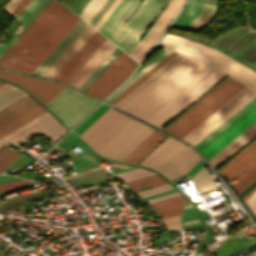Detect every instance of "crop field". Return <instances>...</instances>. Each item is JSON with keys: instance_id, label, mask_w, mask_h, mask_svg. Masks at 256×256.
<instances>
[{"instance_id": "obj_1", "label": "crop field", "mask_w": 256, "mask_h": 256, "mask_svg": "<svg viewBox=\"0 0 256 256\" xmlns=\"http://www.w3.org/2000/svg\"><path fill=\"white\" fill-rule=\"evenodd\" d=\"M211 67L185 56L122 110L146 121Z\"/></svg>"}, {"instance_id": "obj_2", "label": "crop field", "mask_w": 256, "mask_h": 256, "mask_svg": "<svg viewBox=\"0 0 256 256\" xmlns=\"http://www.w3.org/2000/svg\"><path fill=\"white\" fill-rule=\"evenodd\" d=\"M140 1L121 0L98 30L128 54L138 43L148 24L169 2L143 0L136 13L124 24Z\"/></svg>"}, {"instance_id": "obj_3", "label": "crop field", "mask_w": 256, "mask_h": 256, "mask_svg": "<svg viewBox=\"0 0 256 256\" xmlns=\"http://www.w3.org/2000/svg\"><path fill=\"white\" fill-rule=\"evenodd\" d=\"M245 87L228 77L164 130L182 139Z\"/></svg>"}, {"instance_id": "obj_4", "label": "crop field", "mask_w": 256, "mask_h": 256, "mask_svg": "<svg viewBox=\"0 0 256 256\" xmlns=\"http://www.w3.org/2000/svg\"><path fill=\"white\" fill-rule=\"evenodd\" d=\"M163 47L203 60L256 90V73L210 47L171 34L160 41Z\"/></svg>"}, {"instance_id": "obj_5", "label": "crop field", "mask_w": 256, "mask_h": 256, "mask_svg": "<svg viewBox=\"0 0 256 256\" xmlns=\"http://www.w3.org/2000/svg\"><path fill=\"white\" fill-rule=\"evenodd\" d=\"M80 19L66 8L12 69L31 74Z\"/></svg>"}, {"instance_id": "obj_6", "label": "crop field", "mask_w": 256, "mask_h": 256, "mask_svg": "<svg viewBox=\"0 0 256 256\" xmlns=\"http://www.w3.org/2000/svg\"><path fill=\"white\" fill-rule=\"evenodd\" d=\"M226 76L212 67L147 122L162 128Z\"/></svg>"}, {"instance_id": "obj_7", "label": "crop field", "mask_w": 256, "mask_h": 256, "mask_svg": "<svg viewBox=\"0 0 256 256\" xmlns=\"http://www.w3.org/2000/svg\"><path fill=\"white\" fill-rule=\"evenodd\" d=\"M66 7L54 0L43 9L22 35L0 57V66L12 68Z\"/></svg>"}, {"instance_id": "obj_8", "label": "crop field", "mask_w": 256, "mask_h": 256, "mask_svg": "<svg viewBox=\"0 0 256 256\" xmlns=\"http://www.w3.org/2000/svg\"><path fill=\"white\" fill-rule=\"evenodd\" d=\"M98 104L94 100L66 87L46 106L72 127Z\"/></svg>"}, {"instance_id": "obj_9", "label": "crop field", "mask_w": 256, "mask_h": 256, "mask_svg": "<svg viewBox=\"0 0 256 256\" xmlns=\"http://www.w3.org/2000/svg\"><path fill=\"white\" fill-rule=\"evenodd\" d=\"M131 121L109 108L79 137L97 152Z\"/></svg>"}, {"instance_id": "obj_10", "label": "crop field", "mask_w": 256, "mask_h": 256, "mask_svg": "<svg viewBox=\"0 0 256 256\" xmlns=\"http://www.w3.org/2000/svg\"><path fill=\"white\" fill-rule=\"evenodd\" d=\"M136 65L137 62L122 51L85 93L103 100L126 79Z\"/></svg>"}, {"instance_id": "obj_11", "label": "crop field", "mask_w": 256, "mask_h": 256, "mask_svg": "<svg viewBox=\"0 0 256 256\" xmlns=\"http://www.w3.org/2000/svg\"><path fill=\"white\" fill-rule=\"evenodd\" d=\"M255 94V91L246 87L223 107L216 111L212 116L205 120L201 125L189 133L185 138H183V140L194 145L217 125L224 121L228 116L235 112L239 107L251 99Z\"/></svg>"}, {"instance_id": "obj_12", "label": "crop field", "mask_w": 256, "mask_h": 256, "mask_svg": "<svg viewBox=\"0 0 256 256\" xmlns=\"http://www.w3.org/2000/svg\"><path fill=\"white\" fill-rule=\"evenodd\" d=\"M183 3L184 0H170L168 6L151 26L148 33L136 45V47L131 51L129 55L132 56L138 62H140V60L148 51V49L153 45V43L157 40V38L160 36V34L163 32L166 26L170 23V21L180 10Z\"/></svg>"}, {"instance_id": "obj_13", "label": "crop field", "mask_w": 256, "mask_h": 256, "mask_svg": "<svg viewBox=\"0 0 256 256\" xmlns=\"http://www.w3.org/2000/svg\"><path fill=\"white\" fill-rule=\"evenodd\" d=\"M255 121L256 105L249 109L245 114L233 122L229 127H227L199 151L208 160Z\"/></svg>"}, {"instance_id": "obj_14", "label": "crop field", "mask_w": 256, "mask_h": 256, "mask_svg": "<svg viewBox=\"0 0 256 256\" xmlns=\"http://www.w3.org/2000/svg\"><path fill=\"white\" fill-rule=\"evenodd\" d=\"M0 77L15 82L37 96L45 105L65 87L56 83L28 76L0 71ZM61 93V92H60Z\"/></svg>"}, {"instance_id": "obj_15", "label": "crop field", "mask_w": 256, "mask_h": 256, "mask_svg": "<svg viewBox=\"0 0 256 256\" xmlns=\"http://www.w3.org/2000/svg\"><path fill=\"white\" fill-rule=\"evenodd\" d=\"M214 6L215 3L212 2L189 0L185 10L176 19L173 26L191 29L206 12L213 14ZM208 13H206L200 20L207 22L212 17V14ZM203 24L205 23L198 21L192 29L197 30Z\"/></svg>"}, {"instance_id": "obj_16", "label": "crop field", "mask_w": 256, "mask_h": 256, "mask_svg": "<svg viewBox=\"0 0 256 256\" xmlns=\"http://www.w3.org/2000/svg\"><path fill=\"white\" fill-rule=\"evenodd\" d=\"M199 160L200 157L197 155V153L184 145L161 167H159L157 171L161 172L169 179H173L185 174Z\"/></svg>"}, {"instance_id": "obj_17", "label": "crop field", "mask_w": 256, "mask_h": 256, "mask_svg": "<svg viewBox=\"0 0 256 256\" xmlns=\"http://www.w3.org/2000/svg\"><path fill=\"white\" fill-rule=\"evenodd\" d=\"M254 166H256V140L217 170V172L224 174L230 181L234 177L241 178Z\"/></svg>"}, {"instance_id": "obj_18", "label": "crop field", "mask_w": 256, "mask_h": 256, "mask_svg": "<svg viewBox=\"0 0 256 256\" xmlns=\"http://www.w3.org/2000/svg\"><path fill=\"white\" fill-rule=\"evenodd\" d=\"M146 128L147 126L133 120L97 153L114 159Z\"/></svg>"}, {"instance_id": "obj_19", "label": "crop field", "mask_w": 256, "mask_h": 256, "mask_svg": "<svg viewBox=\"0 0 256 256\" xmlns=\"http://www.w3.org/2000/svg\"><path fill=\"white\" fill-rule=\"evenodd\" d=\"M95 31L87 24L41 76L53 79Z\"/></svg>"}, {"instance_id": "obj_20", "label": "crop field", "mask_w": 256, "mask_h": 256, "mask_svg": "<svg viewBox=\"0 0 256 256\" xmlns=\"http://www.w3.org/2000/svg\"><path fill=\"white\" fill-rule=\"evenodd\" d=\"M115 47L116 46L107 39L67 84L79 89Z\"/></svg>"}, {"instance_id": "obj_21", "label": "crop field", "mask_w": 256, "mask_h": 256, "mask_svg": "<svg viewBox=\"0 0 256 256\" xmlns=\"http://www.w3.org/2000/svg\"><path fill=\"white\" fill-rule=\"evenodd\" d=\"M256 137V122L252 124L248 129L236 137L232 142L220 150L208 161L213 166L214 170L218 168L222 163L229 159L233 154L240 150L244 145Z\"/></svg>"}, {"instance_id": "obj_22", "label": "crop field", "mask_w": 256, "mask_h": 256, "mask_svg": "<svg viewBox=\"0 0 256 256\" xmlns=\"http://www.w3.org/2000/svg\"><path fill=\"white\" fill-rule=\"evenodd\" d=\"M184 144L168 137L139 164L157 169Z\"/></svg>"}, {"instance_id": "obj_23", "label": "crop field", "mask_w": 256, "mask_h": 256, "mask_svg": "<svg viewBox=\"0 0 256 256\" xmlns=\"http://www.w3.org/2000/svg\"><path fill=\"white\" fill-rule=\"evenodd\" d=\"M165 137H166V135H164V134L155 130L151 135H149L139 146H137L122 161L137 164L143 157H145Z\"/></svg>"}, {"instance_id": "obj_24", "label": "crop field", "mask_w": 256, "mask_h": 256, "mask_svg": "<svg viewBox=\"0 0 256 256\" xmlns=\"http://www.w3.org/2000/svg\"><path fill=\"white\" fill-rule=\"evenodd\" d=\"M86 24L87 23L81 19L77 23V25L67 34V36L57 45V47L46 57V59L36 68V70L32 74L40 76Z\"/></svg>"}, {"instance_id": "obj_25", "label": "crop field", "mask_w": 256, "mask_h": 256, "mask_svg": "<svg viewBox=\"0 0 256 256\" xmlns=\"http://www.w3.org/2000/svg\"><path fill=\"white\" fill-rule=\"evenodd\" d=\"M31 97V96H30ZM29 96L0 112V127L39 105Z\"/></svg>"}, {"instance_id": "obj_26", "label": "crop field", "mask_w": 256, "mask_h": 256, "mask_svg": "<svg viewBox=\"0 0 256 256\" xmlns=\"http://www.w3.org/2000/svg\"><path fill=\"white\" fill-rule=\"evenodd\" d=\"M188 202L183 196L152 204L161 218L181 215L183 203Z\"/></svg>"}, {"instance_id": "obj_27", "label": "crop field", "mask_w": 256, "mask_h": 256, "mask_svg": "<svg viewBox=\"0 0 256 256\" xmlns=\"http://www.w3.org/2000/svg\"><path fill=\"white\" fill-rule=\"evenodd\" d=\"M106 39L107 38L100 34L97 39L88 47V49L80 56V58L72 65V67L63 75L60 81L67 83Z\"/></svg>"}, {"instance_id": "obj_28", "label": "crop field", "mask_w": 256, "mask_h": 256, "mask_svg": "<svg viewBox=\"0 0 256 256\" xmlns=\"http://www.w3.org/2000/svg\"><path fill=\"white\" fill-rule=\"evenodd\" d=\"M255 103H256V96L252 100H250L247 104H245L242 108H240L237 112H235L232 116H230L227 120H225L222 124H220L217 128H215L212 132H210L207 136H205L202 140H200L197 144H195L194 147L197 148L198 150L202 148L206 143H208L211 139H213L217 134H219L222 130H224L228 125H230L233 121H235L239 116H241L244 112H246Z\"/></svg>"}, {"instance_id": "obj_29", "label": "crop field", "mask_w": 256, "mask_h": 256, "mask_svg": "<svg viewBox=\"0 0 256 256\" xmlns=\"http://www.w3.org/2000/svg\"><path fill=\"white\" fill-rule=\"evenodd\" d=\"M184 55L178 54L171 61H169L165 66H163L159 71H157L153 76H151L147 81L140 85L136 90H134L130 95H128L124 100H122L116 107L122 108L128 102H130L134 97H136L140 92H142L146 87H148L152 82H154L158 77H160L164 72H166L170 67H172L176 62H178Z\"/></svg>"}, {"instance_id": "obj_30", "label": "crop field", "mask_w": 256, "mask_h": 256, "mask_svg": "<svg viewBox=\"0 0 256 256\" xmlns=\"http://www.w3.org/2000/svg\"><path fill=\"white\" fill-rule=\"evenodd\" d=\"M28 96L22 90L13 87L11 85H5L0 88V111L6 109L17 101L23 99Z\"/></svg>"}, {"instance_id": "obj_31", "label": "crop field", "mask_w": 256, "mask_h": 256, "mask_svg": "<svg viewBox=\"0 0 256 256\" xmlns=\"http://www.w3.org/2000/svg\"><path fill=\"white\" fill-rule=\"evenodd\" d=\"M43 112H45V110L40 105L35 107L34 109L30 110L29 112L0 128V137L11 132L12 130L16 129L17 127L28 122L29 120L33 119L34 117L40 115Z\"/></svg>"}, {"instance_id": "obj_32", "label": "crop field", "mask_w": 256, "mask_h": 256, "mask_svg": "<svg viewBox=\"0 0 256 256\" xmlns=\"http://www.w3.org/2000/svg\"><path fill=\"white\" fill-rule=\"evenodd\" d=\"M171 51L165 50L162 52L158 57H156L152 62H150L146 67H144L140 72H138L136 75L132 76L128 82L120 89L118 90L112 97H110L108 100H106L108 103L111 102L113 99H115L117 96H119L122 92H124L128 87H130L134 82H136L143 74H145L148 70H150L153 66H155L159 61H161L164 57H166Z\"/></svg>"}, {"instance_id": "obj_33", "label": "crop field", "mask_w": 256, "mask_h": 256, "mask_svg": "<svg viewBox=\"0 0 256 256\" xmlns=\"http://www.w3.org/2000/svg\"><path fill=\"white\" fill-rule=\"evenodd\" d=\"M56 121L51 115L44 118L43 120L35 123L34 125L28 127L27 129L21 131L20 133L12 136L11 138L7 139L6 141L11 142L13 144L21 141L22 139L28 137L29 135L35 133L36 131L42 129L43 127L49 125L50 123Z\"/></svg>"}, {"instance_id": "obj_34", "label": "crop field", "mask_w": 256, "mask_h": 256, "mask_svg": "<svg viewBox=\"0 0 256 256\" xmlns=\"http://www.w3.org/2000/svg\"><path fill=\"white\" fill-rule=\"evenodd\" d=\"M177 53L172 52L164 60H162L158 65H156L152 70H150L146 75L139 79L135 84H133L129 89H127L123 94H121L117 99H115L111 104L114 106L124 99L128 94H130L134 89H136L140 84H142L146 79L153 75L157 70H159L163 65H165L169 60H171Z\"/></svg>"}, {"instance_id": "obj_35", "label": "crop field", "mask_w": 256, "mask_h": 256, "mask_svg": "<svg viewBox=\"0 0 256 256\" xmlns=\"http://www.w3.org/2000/svg\"><path fill=\"white\" fill-rule=\"evenodd\" d=\"M167 183H168L167 181L155 175V176H151L148 178H144V179L133 181L126 184L129 185L133 190L138 192V191H142L145 189H149V188L160 186Z\"/></svg>"}, {"instance_id": "obj_36", "label": "crop field", "mask_w": 256, "mask_h": 256, "mask_svg": "<svg viewBox=\"0 0 256 256\" xmlns=\"http://www.w3.org/2000/svg\"><path fill=\"white\" fill-rule=\"evenodd\" d=\"M121 51L122 50L116 47L113 52L106 58V60L98 67V69L90 76V78L83 84V86L81 85L82 87L80 90L85 92Z\"/></svg>"}, {"instance_id": "obj_37", "label": "crop field", "mask_w": 256, "mask_h": 256, "mask_svg": "<svg viewBox=\"0 0 256 256\" xmlns=\"http://www.w3.org/2000/svg\"><path fill=\"white\" fill-rule=\"evenodd\" d=\"M17 151L3 145L0 146V173L21 155L20 151Z\"/></svg>"}, {"instance_id": "obj_38", "label": "crop field", "mask_w": 256, "mask_h": 256, "mask_svg": "<svg viewBox=\"0 0 256 256\" xmlns=\"http://www.w3.org/2000/svg\"><path fill=\"white\" fill-rule=\"evenodd\" d=\"M109 175H112V174L109 173L107 170L100 168V169H96V170H92V171H89L86 173L79 174V175L71 177V178L64 179V181L67 182V181L73 180V182L78 181L79 183H84V182H88V181L95 180V179L109 176Z\"/></svg>"}, {"instance_id": "obj_39", "label": "crop field", "mask_w": 256, "mask_h": 256, "mask_svg": "<svg viewBox=\"0 0 256 256\" xmlns=\"http://www.w3.org/2000/svg\"><path fill=\"white\" fill-rule=\"evenodd\" d=\"M66 130L56 121L49 126L43 128L42 130L36 132L35 134L29 136L28 138L22 140L21 142L17 143V145L25 142L26 140L30 139L31 137L41 133L53 140H56L58 137H60L63 133H65Z\"/></svg>"}, {"instance_id": "obj_40", "label": "crop field", "mask_w": 256, "mask_h": 256, "mask_svg": "<svg viewBox=\"0 0 256 256\" xmlns=\"http://www.w3.org/2000/svg\"><path fill=\"white\" fill-rule=\"evenodd\" d=\"M115 175L119 177L124 183H126V182H130L133 180H137V179L148 177L155 174L151 171L137 168L130 171L115 174Z\"/></svg>"}, {"instance_id": "obj_41", "label": "crop field", "mask_w": 256, "mask_h": 256, "mask_svg": "<svg viewBox=\"0 0 256 256\" xmlns=\"http://www.w3.org/2000/svg\"><path fill=\"white\" fill-rule=\"evenodd\" d=\"M105 1L106 0H90L79 16L89 23Z\"/></svg>"}, {"instance_id": "obj_42", "label": "crop field", "mask_w": 256, "mask_h": 256, "mask_svg": "<svg viewBox=\"0 0 256 256\" xmlns=\"http://www.w3.org/2000/svg\"><path fill=\"white\" fill-rule=\"evenodd\" d=\"M97 31L93 34V36L84 44V46L75 54V56L66 64V66L57 74L54 78L55 80H59L62 75L71 67V65L79 58V56L87 49V47L96 39L99 35Z\"/></svg>"}, {"instance_id": "obj_43", "label": "crop field", "mask_w": 256, "mask_h": 256, "mask_svg": "<svg viewBox=\"0 0 256 256\" xmlns=\"http://www.w3.org/2000/svg\"><path fill=\"white\" fill-rule=\"evenodd\" d=\"M154 130L147 128L140 136H138L123 152H121L115 160L121 161L125 156H127L137 145H139L149 134Z\"/></svg>"}, {"instance_id": "obj_44", "label": "crop field", "mask_w": 256, "mask_h": 256, "mask_svg": "<svg viewBox=\"0 0 256 256\" xmlns=\"http://www.w3.org/2000/svg\"><path fill=\"white\" fill-rule=\"evenodd\" d=\"M107 109H108V107H106L104 105H102L99 109H97L91 116H89L82 124H80L77 127V129L75 131L77 133V135L79 136L85 129H87Z\"/></svg>"}, {"instance_id": "obj_45", "label": "crop field", "mask_w": 256, "mask_h": 256, "mask_svg": "<svg viewBox=\"0 0 256 256\" xmlns=\"http://www.w3.org/2000/svg\"><path fill=\"white\" fill-rule=\"evenodd\" d=\"M255 180H256V167L252 171H250L247 175H245L242 179H240L233 186L239 194L245 188H247L251 183H253Z\"/></svg>"}, {"instance_id": "obj_46", "label": "crop field", "mask_w": 256, "mask_h": 256, "mask_svg": "<svg viewBox=\"0 0 256 256\" xmlns=\"http://www.w3.org/2000/svg\"><path fill=\"white\" fill-rule=\"evenodd\" d=\"M194 184L198 188L199 192H201V194L218 188L213 184L212 176H206L205 178L196 181Z\"/></svg>"}, {"instance_id": "obj_47", "label": "crop field", "mask_w": 256, "mask_h": 256, "mask_svg": "<svg viewBox=\"0 0 256 256\" xmlns=\"http://www.w3.org/2000/svg\"><path fill=\"white\" fill-rule=\"evenodd\" d=\"M171 189H174V188L171 185L167 184V185H163V186L156 187V188H153V189H149V190H145V191H142V192H138V194L142 198H144V197L151 196V195H154V194H157V193H161V192H164V191H167V190H171Z\"/></svg>"}, {"instance_id": "obj_48", "label": "crop field", "mask_w": 256, "mask_h": 256, "mask_svg": "<svg viewBox=\"0 0 256 256\" xmlns=\"http://www.w3.org/2000/svg\"><path fill=\"white\" fill-rule=\"evenodd\" d=\"M48 115H50V114H48L47 112L44 113V114H42V115H40L39 117L33 119L32 121L26 123L25 125L21 126L20 128H18V129H16V130H14L13 132L7 134L6 136L2 137L1 139L5 140V139L11 137L12 135H14V134L20 132L21 130L27 128L28 126L34 124L35 122H37V121L43 119L44 117H46V116H48Z\"/></svg>"}, {"instance_id": "obj_49", "label": "crop field", "mask_w": 256, "mask_h": 256, "mask_svg": "<svg viewBox=\"0 0 256 256\" xmlns=\"http://www.w3.org/2000/svg\"><path fill=\"white\" fill-rule=\"evenodd\" d=\"M30 183H34V182L24 180V179H20V180L8 182V183L0 184V192L3 191V190H6V189H10V188H13V187L26 185V184H30Z\"/></svg>"}, {"instance_id": "obj_50", "label": "crop field", "mask_w": 256, "mask_h": 256, "mask_svg": "<svg viewBox=\"0 0 256 256\" xmlns=\"http://www.w3.org/2000/svg\"><path fill=\"white\" fill-rule=\"evenodd\" d=\"M41 0H31L28 5L20 12L17 18L24 20L26 16L34 9V7L40 2Z\"/></svg>"}, {"instance_id": "obj_51", "label": "crop field", "mask_w": 256, "mask_h": 256, "mask_svg": "<svg viewBox=\"0 0 256 256\" xmlns=\"http://www.w3.org/2000/svg\"><path fill=\"white\" fill-rule=\"evenodd\" d=\"M113 1L114 0H107L89 24L94 27L95 24L98 22V20L101 18V16L104 14V12L108 9V7L111 5Z\"/></svg>"}, {"instance_id": "obj_52", "label": "crop field", "mask_w": 256, "mask_h": 256, "mask_svg": "<svg viewBox=\"0 0 256 256\" xmlns=\"http://www.w3.org/2000/svg\"><path fill=\"white\" fill-rule=\"evenodd\" d=\"M244 201L248 205V207L251 209V211L254 213V215L256 216V191L253 194H251Z\"/></svg>"}, {"instance_id": "obj_53", "label": "crop field", "mask_w": 256, "mask_h": 256, "mask_svg": "<svg viewBox=\"0 0 256 256\" xmlns=\"http://www.w3.org/2000/svg\"><path fill=\"white\" fill-rule=\"evenodd\" d=\"M120 0H115L112 5L109 7V9L105 12V14L102 16V18L99 20V22L96 24V26L94 28H96L97 30L99 29V27L102 25V23L105 21V19L108 17V15L111 13V11L114 9V7L117 5V3Z\"/></svg>"}, {"instance_id": "obj_54", "label": "crop field", "mask_w": 256, "mask_h": 256, "mask_svg": "<svg viewBox=\"0 0 256 256\" xmlns=\"http://www.w3.org/2000/svg\"><path fill=\"white\" fill-rule=\"evenodd\" d=\"M177 196H181V194L179 192H177V193L169 194V195H166V196L158 197V198L147 200V201L150 204H152V203H156V202L163 201V200H166V199L174 198V197H177Z\"/></svg>"}, {"instance_id": "obj_55", "label": "crop field", "mask_w": 256, "mask_h": 256, "mask_svg": "<svg viewBox=\"0 0 256 256\" xmlns=\"http://www.w3.org/2000/svg\"><path fill=\"white\" fill-rule=\"evenodd\" d=\"M205 165L204 161L201 160L198 164H196L190 171L187 173L189 174L190 178L199 171Z\"/></svg>"}, {"instance_id": "obj_56", "label": "crop field", "mask_w": 256, "mask_h": 256, "mask_svg": "<svg viewBox=\"0 0 256 256\" xmlns=\"http://www.w3.org/2000/svg\"><path fill=\"white\" fill-rule=\"evenodd\" d=\"M255 57H256V47L243 60L250 63ZM255 62H256V58L250 64L253 65Z\"/></svg>"}, {"instance_id": "obj_57", "label": "crop field", "mask_w": 256, "mask_h": 256, "mask_svg": "<svg viewBox=\"0 0 256 256\" xmlns=\"http://www.w3.org/2000/svg\"><path fill=\"white\" fill-rule=\"evenodd\" d=\"M164 221L166 222L167 226L178 225L181 224V216L165 219Z\"/></svg>"}, {"instance_id": "obj_58", "label": "crop field", "mask_w": 256, "mask_h": 256, "mask_svg": "<svg viewBox=\"0 0 256 256\" xmlns=\"http://www.w3.org/2000/svg\"><path fill=\"white\" fill-rule=\"evenodd\" d=\"M20 2L21 0H10L6 7L4 6V9H6L8 12H11Z\"/></svg>"}, {"instance_id": "obj_59", "label": "crop field", "mask_w": 256, "mask_h": 256, "mask_svg": "<svg viewBox=\"0 0 256 256\" xmlns=\"http://www.w3.org/2000/svg\"><path fill=\"white\" fill-rule=\"evenodd\" d=\"M208 174V172H207V170H206V168H205V166L199 171V172H197L191 179H192V181H195V180H197V179H199V178H201V177H203V176H205V175H207Z\"/></svg>"}, {"instance_id": "obj_60", "label": "crop field", "mask_w": 256, "mask_h": 256, "mask_svg": "<svg viewBox=\"0 0 256 256\" xmlns=\"http://www.w3.org/2000/svg\"><path fill=\"white\" fill-rule=\"evenodd\" d=\"M30 0H23L16 9L11 13L14 17L20 12V10L29 2Z\"/></svg>"}, {"instance_id": "obj_61", "label": "crop field", "mask_w": 256, "mask_h": 256, "mask_svg": "<svg viewBox=\"0 0 256 256\" xmlns=\"http://www.w3.org/2000/svg\"><path fill=\"white\" fill-rule=\"evenodd\" d=\"M16 40L14 38L8 45L0 44V56L11 46V44Z\"/></svg>"}, {"instance_id": "obj_62", "label": "crop field", "mask_w": 256, "mask_h": 256, "mask_svg": "<svg viewBox=\"0 0 256 256\" xmlns=\"http://www.w3.org/2000/svg\"><path fill=\"white\" fill-rule=\"evenodd\" d=\"M89 0H84L83 3L80 5V7L77 9V11L75 13H77L79 15V13L82 11V9L84 8V6L87 4Z\"/></svg>"}, {"instance_id": "obj_63", "label": "crop field", "mask_w": 256, "mask_h": 256, "mask_svg": "<svg viewBox=\"0 0 256 256\" xmlns=\"http://www.w3.org/2000/svg\"><path fill=\"white\" fill-rule=\"evenodd\" d=\"M169 230H181V225L168 227Z\"/></svg>"}, {"instance_id": "obj_64", "label": "crop field", "mask_w": 256, "mask_h": 256, "mask_svg": "<svg viewBox=\"0 0 256 256\" xmlns=\"http://www.w3.org/2000/svg\"><path fill=\"white\" fill-rule=\"evenodd\" d=\"M256 190V187H254L251 191H249L245 196H243V200L247 198L251 193H253Z\"/></svg>"}, {"instance_id": "obj_65", "label": "crop field", "mask_w": 256, "mask_h": 256, "mask_svg": "<svg viewBox=\"0 0 256 256\" xmlns=\"http://www.w3.org/2000/svg\"><path fill=\"white\" fill-rule=\"evenodd\" d=\"M5 84H6V83L0 82V87L3 86V85H5Z\"/></svg>"}, {"instance_id": "obj_66", "label": "crop field", "mask_w": 256, "mask_h": 256, "mask_svg": "<svg viewBox=\"0 0 256 256\" xmlns=\"http://www.w3.org/2000/svg\"><path fill=\"white\" fill-rule=\"evenodd\" d=\"M254 66H256V63L254 64Z\"/></svg>"}]
</instances>
